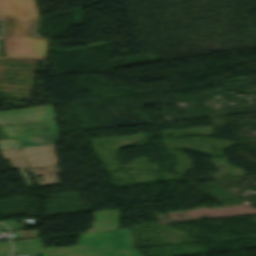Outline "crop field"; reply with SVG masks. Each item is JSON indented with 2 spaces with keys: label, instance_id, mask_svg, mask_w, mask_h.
Returning <instances> with one entry per match:
<instances>
[{
  "label": "crop field",
  "instance_id": "crop-field-1",
  "mask_svg": "<svg viewBox=\"0 0 256 256\" xmlns=\"http://www.w3.org/2000/svg\"><path fill=\"white\" fill-rule=\"evenodd\" d=\"M14 253L42 256H142L132 244L129 229L81 234L78 245L68 248H43L40 238L16 240Z\"/></svg>",
  "mask_w": 256,
  "mask_h": 256
},
{
  "label": "crop field",
  "instance_id": "crop-field-2",
  "mask_svg": "<svg viewBox=\"0 0 256 256\" xmlns=\"http://www.w3.org/2000/svg\"><path fill=\"white\" fill-rule=\"evenodd\" d=\"M21 149L35 174V178L36 176H43L36 178L39 183L38 186L59 184L56 175L60 172L56 166L54 144ZM39 179H43V181H39Z\"/></svg>",
  "mask_w": 256,
  "mask_h": 256
},
{
  "label": "crop field",
  "instance_id": "crop-field-3",
  "mask_svg": "<svg viewBox=\"0 0 256 256\" xmlns=\"http://www.w3.org/2000/svg\"><path fill=\"white\" fill-rule=\"evenodd\" d=\"M8 57L44 59L48 42L43 38H8Z\"/></svg>",
  "mask_w": 256,
  "mask_h": 256
},
{
  "label": "crop field",
  "instance_id": "crop-field-4",
  "mask_svg": "<svg viewBox=\"0 0 256 256\" xmlns=\"http://www.w3.org/2000/svg\"><path fill=\"white\" fill-rule=\"evenodd\" d=\"M4 22V55L6 56L7 37H40L36 35L38 15L15 20L14 14L0 17Z\"/></svg>",
  "mask_w": 256,
  "mask_h": 256
},
{
  "label": "crop field",
  "instance_id": "crop-field-5",
  "mask_svg": "<svg viewBox=\"0 0 256 256\" xmlns=\"http://www.w3.org/2000/svg\"><path fill=\"white\" fill-rule=\"evenodd\" d=\"M0 128L6 139L57 133L55 120L3 125Z\"/></svg>",
  "mask_w": 256,
  "mask_h": 256
},
{
  "label": "crop field",
  "instance_id": "crop-field-6",
  "mask_svg": "<svg viewBox=\"0 0 256 256\" xmlns=\"http://www.w3.org/2000/svg\"><path fill=\"white\" fill-rule=\"evenodd\" d=\"M15 13L16 18L37 14L33 0H0V16Z\"/></svg>",
  "mask_w": 256,
  "mask_h": 256
},
{
  "label": "crop field",
  "instance_id": "crop-field-7",
  "mask_svg": "<svg viewBox=\"0 0 256 256\" xmlns=\"http://www.w3.org/2000/svg\"><path fill=\"white\" fill-rule=\"evenodd\" d=\"M3 159H8L12 168H18L23 179L24 182L26 184V187L29 188L31 187V182L26 174V172H24V168L28 166L23 153L21 151V149H14V150H4V151H0ZM30 174H32V171L30 170V168L28 169V171Z\"/></svg>",
  "mask_w": 256,
  "mask_h": 256
},
{
  "label": "crop field",
  "instance_id": "crop-field-8",
  "mask_svg": "<svg viewBox=\"0 0 256 256\" xmlns=\"http://www.w3.org/2000/svg\"><path fill=\"white\" fill-rule=\"evenodd\" d=\"M94 221L119 218L117 210L92 212Z\"/></svg>",
  "mask_w": 256,
  "mask_h": 256
},
{
  "label": "crop field",
  "instance_id": "crop-field-9",
  "mask_svg": "<svg viewBox=\"0 0 256 256\" xmlns=\"http://www.w3.org/2000/svg\"><path fill=\"white\" fill-rule=\"evenodd\" d=\"M6 226H8L11 230L17 229L16 225L13 223V221L5 222Z\"/></svg>",
  "mask_w": 256,
  "mask_h": 256
},
{
  "label": "crop field",
  "instance_id": "crop-field-10",
  "mask_svg": "<svg viewBox=\"0 0 256 256\" xmlns=\"http://www.w3.org/2000/svg\"><path fill=\"white\" fill-rule=\"evenodd\" d=\"M8 230L0 223V231Z\"/></svg>",
  "mask_w": 256,
  "mask_h": 256
}]
</instances>
